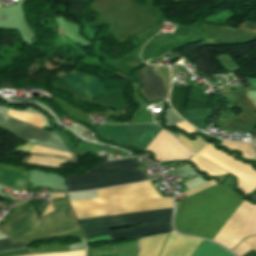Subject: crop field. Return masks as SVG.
<instances>
[{
    "label": "crop field",
    "mask_w": 256,
    "mask_h": 256,
    "mask_svg": "<svg viewBox=\"0 0 256 256\" xmlns=\"http://www.w3.org/2000/svg\"><path fill=\"white\" fill-rule=\"evenodd\" d=\"M198 155L236 175L239 178V187L244 190L245 194H249L256 189V171H253L250 165H245L230 158L214 149L213 145L209 143L203 147Z\"/></svg>",
    "instance_id": "d8731c3e"
},
{
    "label": "crop field",
    "mask_w": 256,
    "mask_h": 256,
    "mask_svg": "<svg viewBox=\"0 0 256 256\" xmlns=\"http://www.w3.org/2000/svg\"><path fill=\"white\" fill-rule=\"evenodd\" d=\"M247 80H248V81L253 85V87L256 89V79L248 78Z\"/></svg>",
    "instance_id": "750c4746"
},
{
    "label": "crop field",
    "mask_w": 256,
    "mask_h": 256,
    "mask_svg": "<svg viewBox=\"0 0 256 256\" xmlns=\"http://www.w3.org/2000/svg\"><path fill=\"white\" fill-rule=\"evenodd\" d=\"M243 201L227 186L216 185L177 202L174 226L181 233L212 240Z\"/></svg>",
    "instance_id": "8a807250"
},
{
    "label": "crop field",
    "mask_w": 256,
    "mask_h": 256,
    "mask_svg": "<svg viewBox=\"0 0 256 256\" xmlns=\"http://www.w3.org/2000/svg\"><path fill=\"white\" fill-rule=\"evenodd\" d=\"M194 256H234L227 250L205 240Z\"/></svg>",
    "instance_id": "733c2abd"
},
{
    "label": "crop field",
    "mask_w": 256,
    "mask_h": 256,
    "mask_svg": "<svg viewBox=\"0 0 256 256\" xmlns=\"http://www.w3.org/2000/svg\"><path fill=\"white\" fill-rule=\"evenodd\" d=\"M52 211H54L53 210V208H52V205H51V203L47 206V208H46V210H45V212H44V214L42 215V216H44V215H46V214H48V213H50V212H52Z\"/></svg>",
    "instance_id": "d3111659"
},
{
    "label": "crop field",
    "mask_w": 256,
    "mask_h": 256,
    "mask_svg": "<svg viewBox=\"0 0 256 256\" xmlns=\"http://www.w3.org/2000/svg\"><path fill=\"white\" fill-rule=\"evenodd\" d=\"M190 85L172 86L170 103L176 112L185 119L186 112L184 110L187 102V96Z\"/></svg>",
    "instance_id": "cbeb9de0"
},
{
    "label": "crop field",
    "mask_w": 256,
    "mask_h": 256,
    "mask_svg": "<svg viewBox=\"0 0 256 256\" xmlns=\"http://www.w3.org/2000/svg\"><path fill=\"white\" fill-rule=\"evenodd\" d=\"M137 74L147 99L167 98L168 93L159 66L147 65L138 70Z\"/></svg>",
    "instance_id": "28ad6ade"
},
{
    "label": "crop field",
    "mask_w": 256,
    "mask_h": 256,
    "mask_svg": "<svg viewBox=\"0 0 256 256\" xmlns=\"http://www.w3.org/2000/svg\"><path fill=\"white\" fill-rule=\"evenodd\" d=\"M23 242L12 244L7 238L0 240V252L24 248Z\"/></svg>",
    "instance_id": "a9b5d70f"
},
{
    "label": "crop field",
    "mask_w": 256,
    "mask_h": 256,
    "mask_svg": "<svg viewBox=\"0 0 256 256\" xmlns=\"http://www.w3.org/2000/svg\"><path fill=\"white\" fill-rule=\"evenodd\" d=\"M177 125L178 127L184 129L185 131H187L188 133L192 134V133H195L196 130L195 128H193L191 125H189L187 122L183 121V122H180L178 124H175Z\"/></svg>",
    "instance_id": "ae1a2a85"
},
{
    "label": "crop field",
    "mask_w": 256,
    "mask_h": 256,
    "mask_svg": "<svg viewBox=\"0 0 256 256\" xmlns=\"http://www.w3.org/2000/svg\"><path fill=\"white\" fill-rule=\"evenodd\" d=\"M98 195L99 199L70 202L78 219L173 207L149 181L100 190Z\"/></svg>",
    "instance_id": "ac0d7876"
},
{
    "label": "crop field",
    "mask_w": 256,
    "mask_h": 256,
    "mask_svg": "<svg viewBox=\"0 0 256 256\" xmlns=\"http://www.w3.org/2000/svg\"><path fill=\"white\" fill-rule=\"evenodd\" d=\"M191 161L195 162L200 170L206 172L209 175H219L228 173L216 167L212 163L197 157L196 155L191 159Z\"/></svg>",
    "instance_id": "bc2a9ffb"
},
{
    "label": "crop field",
    "mask_w": 256,
    "mask_h": 256,
    "mask_svg": "<svg viewBox=\"0 0 256 256\" xmlns=\"http://www.w3.org/2000/svg\"><path fill=\"white\" fill-rule=\"evenodd\" d=\"M135 158L102 163L85 171V175H68V192L92 190L146 180L142 171H137Z\"/></svg>",
    "instance_id": "412701ff"
},
{
    "label": "crop field",
    "mask_w": 256,
    "mask_h": 256,
    "mask_svg": "<svg viewBox=\"0 0 256 256\" xmlns=\"http://www.w3.org/2000/svg\"><path fill=\"white\" fill-rule=\"evenodd\" d=\"M147 125H101L99 134L105 139H113L117 144L131 146ZM161 129L148 125L132 146L145 150Z\"/></svg>",
    "instance_id": "dd49c442"
},
{
    "label": "crop field",
    "mask_w": 256,
    "mask_h": 256,
    "mask_svg": "<svg viewBox=\"0 0 256 256\" xmlns=\"http://www.w3.org/2000/svg\"><path fill=\"white\" fill-rule=\"evenodd\" d=\"M222 145L228 149L242 151V157L256 160V151L254 147L248 143H235V142H224Z\"/></svg>",
    "instance_id": "4a817a6b"
},
{
    "label": "crop field",
    "mask_w": 256,
    "mask_h": 256,
    "mask_svg": "<svg viewBox=\"0 0 256 256\" xmlns=\"http://www.w3.org/2000/svg\"><path fill=\"white\" fill-rule=\"evenodd\" d=\"M51 203L55 211L42 217L43 225L41 231L44 234L55 236L81 229L68 200L53 201Z\"/></svg>",
    "instance_id": "5a996713"
},
{
    "label": "crop field",
    "mask_w": 256,
    "mask_h": 256,
    "mask_svg": "<svg viewBox=\"0 0 256 256\" xmlns=\"http://www.w3.org/2000/svg\"><path fill=\"white\" fill-rule=\"evenodd\" d=\"M25 174L0 166V182L12 187H23Z\"/></svg>",
    "instance_id": "5142ce71"
},
{
    "label": "crop field",
    "mask_w": 256,
    "mask_h": 256,
    "mask_svg": "<svg viewBox=\"0 0 256 256\" xmlns=\"http://www.w3.org/2000/svg\"><path fill=\"white\" fill-rule=\"evenodd\" d=\"M51 196H52V200L56 198H65L64 194L51 195Z\"/></svg>",
    "instance_id": "1d83c4d3"
},
{
    "label": "crop field",
    "mask_w": 256,
    "mask_h": 256,
    "mask_svg": "<svg viewBox=\"0 0 256 256\" xmlns=\"http://www.w3.org/2000/svg\"><path fill=\"white\" fill-rule=\"evenodd\" d=\"M65 161L64 159H56V158H49V157H42V156H34L30 155L27 162L29 163H37V164H44V165H52L56 166L60 163Z\"/></svg>",
    "instance_id": "92a150f3"
},
{
    "label": "crop field",
    "mask_w": 256,
    "mask_h": 256,
    "mask_svg": "<svg viewBox=\"0 0 256 256\" xmlns=\"http://www.w3.org/2000/svg\"><path fill=\"white\" fill-rule=\"evenodd\" d=\"M27 256H86V251L73 253L43 254V255H27Z\"/></svg>",
    "instance_id": "730fd06b"
},
{
    "label": "crop field",
    "mask_w": 256,
    "mask_h": 256,
    "mask_svg": "<svg viewBox=\"0 0 256 256\" xmlns=\"http://www.w3.org/2000/svg\"><path fill=\"white\" fill-rule=\"evenodd\" d=\"M146 150L155 153V159L157 161L165 159H184L190 154V152L182 147L170 133L164 130L160 131Z\"/></svg>",
    "instance_id": "3316defc"
},
{
    "label": "crop field",
    "mask_w": 256,
    "mask_h": 256,
    "mask_svg": "<svg viewBox=\"0 0 256 256\" xmlns=\"http://www.w3.org/2000/svg\"><path fill=\"white\" fill-rule=\"evenodd\" d=\"M61 79L90 99L107 94L99 79L74 70Z\"/></svg>",
    "instance_id": "d1516ede"
},
{
    "label": "crop field",
    "mask_w": 256,
    "mask_h": 256,
    "mask_svg": "<svg viewBox=\"0 0 256 256\" xmlns=\"http://www.w3.org/2000/svg\"><path fill=\"white\" fill-rule=\"evenodd\" d=\"M40 224L41 221L40 219H37V214L33 209L9 223L7 237L10 240H14L16 238L37 233Z\"/></svg>",
    "instance_id": "22f410ed"
},
{
    "label": "crop field",
    "mask_w": 256,
    "mask_h": 256,
    "mask_svg": "<svg viewBox=\"0 0 256 256\" xmlns=\"http://www.w3.org/2000/svg\"><path fill=\"white\" fill-rule=\"evenodd\" d=\"M0 127L29 143L69 152L59 135L0 114Z\"/></svg>",
    "instance_id": "e52e79f7"
},
{
    "label": "crop field",
    "mask_w": 256,
    "mask_h": 256,
    "mask_svg": "<svg viewBox=\"0 0 256 256\" xmlns=\"http://www.w3.org/2000/svg\"><path fill=\"white\" fill-rule=\"evenodd\" d=\"M244 256H256V252L254 250L249 251Z\"/></svg>",
    "instance_id": "bd1437ed"
},
{
    "label": "crop field",
    "mask_w": 256,
    "mask_h": 256,
    "mask_svg": "<svg viewBox=\"0 0 256 256\" xmlns=\"http://www.w3.org/2000/svg\"><path fill=\"white\" fill-rule=\"evenodd\" d=\"M197 139L195 141H190L188 138L184 137L181 133L177 137L179 141L189 148L192 152L198 153V151L206 144V142L199 136H196Z\"/></svg>",
    "instance_id": "214f88e0"
},
{
    "label": "crop field",
    "mask_w": 256,
    "mask_h": 256,
    "mask_svg": "<svg viewBox=\"0 0 256 256\" xmlns=\"http://www.w3.org/2000/svg\"><path fill=\"white\" fill-rule=\"evenodd\" d=\"M30 153H41V154H48V155H58V156H64L66 158H70V154L58 150L48 149L40 146L34 145Z\"/></svg>",
    "instance_id": "dafd665d"
},
{
    "label": "crop field",
    "mask_w": 256,
    "mask_h": 256,
    "mask_svg": "<svg viewBox=\"0 0 256 256\" xmlns=\"http://www.w3.org/2000/svg\"><path fill=\"white\" fill-rule=\"evenodd\" d=\"M211 115L212 109L187 110L186 120L193 118H205L210 117Z\"/></svg>",
    "instance_id": "00972430"
},
{
    "label": "crop field",
    "mask_w": 256,
    "mask_h": 256,
    "mask_svg": "<svg viewBox=\"0 0 256 256\" xmlns=\"http://www.w3.org/2000/svg\"><path fill=\"white\" fill-rule=\"evenodd\" d=\"M214 185H216V183H215L214 180H212V181H210V182H207V183H205V184H202V185H200V186H197V187H195V188H192V189H190V190H187V191H185V192H183V193L185 194L186 197H188V196H190V195H192V194H195V193H197V192H199V191H202V190H204V189H206V188H209V187H211V186H214Z\"/></svg>",
    "instance_id": "4177f3b9"
},
{
    "label": "crop field",
    "mask_w": 256,
    "mask_h": 256,
    "mask_svg": "<svg viewBox=\"0 0 256 256\" xmlns=\"http://www.w3.org/2000/svg\"><path fill=\"white\" fill-rule=\"evenodd\" d=\"M255 193H256V191H255Z\"/></svg>",
    "instance_id": "120bbe31"
},
{
    "label": "crop field",
    "mask_w": 256,
    "mask_h": 256,
    "mask_svg": "<svg viewBox=\"0 0 256 256\" xmlns=\"http://www.w3.org/2000/svg\"><path fill=\"white\" fill-rule=\"evenodd\" d=\"M27 254H29L27 249H23V250L0 253V256H22Z\"/></svg>",
    "instance_id": "eef30255"
},
{
    "label": "crop field",
    "mask_w": 256,
    "mask_h": 256,
    "mask_svg": "<svg viewBox=\"0 0 256 256\" xmlns=\"http://www.w3.org/2000/svg\"><path fill=\"white\" fill-rule=\"evenodd\" d=\"M172 210L173 209L96 219H82L79 221L86 239L110 234L111 240L115 241L169 232ZM143 223L148 224L122 231L109 230L110 228L130 227Z\"/></svg>",
    "instance_id": "34b2d1b8"
},
{
    "label": "crop field",
    "mask_w": 256,
    "mask_h": 256,
    "mask_svg": "<svg viewBox=\"0 0 256 256\" xmlns=\"http://www.w3.org/2000/svg\"><path fill=\"white\" fill-rule=\"evenodd\" d=\"M212 108L211 99L207 98L202 88L192 87V93L187 109Z\"/></svg>",
    "instance_id": "d9b57169"
},
{
    "label": "crop field",
    "mask_w": 256,
    "mask_h": 256,
    "mask_svg": "<svg viewBox=\"0 0 256 256\" xmlns=\"http://www.w3.org/2000/svg\"><path fill=\"white\" fill-rule=\"evenodd\" d=\"M168 235L143 239L139 256H158ZM201 239L170 234L160 256H191Z\"/></svg>",
    "instance_id": "f4fd0767"
}]
</instances>
